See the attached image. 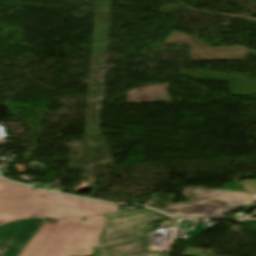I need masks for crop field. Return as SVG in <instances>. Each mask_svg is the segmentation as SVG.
Instances as JSON below:
<instances>
[{
	"mask_svg": "<svg viewBox=\"0 0 256 256\" xmlns=\"http://www.w3.org/2000/svg\"><path fill=\"white\" fill-rule=\"evenodd\" d=\"M118 212V206L37 191L0 178V223Z\"/></svg>",
	"mask_w": 256,
	"mask_h": 256,
	"instance_id": "obj_1",
	"label": "crop field"
},
{
	"mask_svg": "<svg viewBox=\"0 0 256 256\" xmlns=\"http://www.w3.org/2000/svg\"><path fill=\"white\" fill-rule=\"evenodd\" d=\"M105 223L102 215L45 221L19 256H89Z\"/></svg>",
	"mask_w": 256,
	"mask_h": 256,
	"instance_id": "obj_2",
	"label": "crop field"
},
{
	"mask_svg": "<svg viewBox=\"0 0 256 256\" xmlns=\"http://www.w3.org/2000/svg\"><path fill=\"white\" fill-rule=\"evenodd\" d=\"M190 194L195 195L192 199ZM182 196L191 202L170 205L164 212L180 218H220L223 214L232 212L256 201V194L227 190L198 189L188 187ZM242 215L239 218H252Z\"/></svg>",
	"mask_w": 256,
	"mask_h": 256,
	"instance_id": "obj_3",
	"label": "crop field"
},
{
	"mask_svg": "<svg viewBox=\"0 0 256 256\" xmlns=\"http://www.w3.org/2000/svg\"><path fill=\"white\" fill-rule=\"evenodd\" d=\"M160 220L164 221L160 228L176 226L178 223L177 219L157 212L106 223L101 233V245L146 235L150 226Z\"/></svg>",
	"mask_w": 256,
	"mask_h": 256,
	"instance_id": "obj_4",
	"label": "crop field"
},
{
	"mask_svg": "<svg viewBox=\"0 0 256 256\" xmlns=\"http://www.w3.org/2000/svg\"><path fill=\"white\" fill-rule=\"evenodd\" d=\"M45 220L24 219L0 226V247H6L5 256H17L32 239Z\"/></svg>",
	"mask_w": 256,
	"mask_h": 256,
	"instance_id": "obj_5",
	"label": "crop field"
},
{
	"mask_svg": "<svg viewBox=\"0 0 256 256\" xmlns=\"http://www.w3.org/2000/svg\"><path fill=\"white\" fill-rule=\"evenodd\" d=\"M148 236L101 246V256H159L148 251Z\"/></svg>",
	"mask_w": 256,
	"mask_h": 256,
	"instance_id": "obj_6",
	"label": "crop field"
},
{
	"mask_svg": "<svg viewBox=\"0 0 256 256\" xmlns=\"http://www.w3.org/2000/svg\"><path fill=\"white\" fill-rule=\"evenodd\" d=\"M149 212H153V211L150 209H146V210H142V211H138V212H134V213H111V214H105L103 216L105 217L107 222H111V221L124 219V218H128V217L136 216V215H141V214H145V213H149Z\"/></svg>",
	"mask_w": 256,
	"mask_h": 256,
	"instance_id": "obj_7",
	"label": "crop field"
},
{
	"mask_svg": "<svg viewBox=\"0 0 256 256\" xmlns=\"http://www.w3.org/2000/svg\"><path fill=\"white\" fill-rule=\"evenodd\" d=\"M243 190L256 193V180H246L242 182Z\"/></svg>",
	"mask_w": 256,
	"mask_h": 256,
	"instance_id": "obj_8",
	"label": "crop field"
}]
</instances>
